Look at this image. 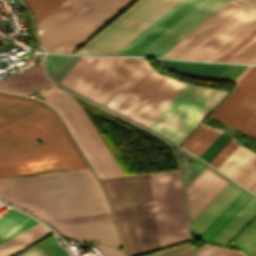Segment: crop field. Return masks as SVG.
<instances>
[{
    "label": "crop field",
    "mask_w": 256,
    "mask_h": 256,
    "mask_svg": "<svg viewBox=\"0 0 256 256\" xmlns=\"http://www.w3.org/2000/svg\"><path fill=\"white\" fill-rule=\"evenodd\" d=\"M252 198L241 190L196 238L211 242Z\"/></svg>",
    "instance_id": "crop-field-18"
},
{
    "label": "crop field",
    "mask_w": 256,
    "mask_h": 256,
    "mask_svg": "<svg viewBox=\"0 0 256 256\" xmlns=\"http://www.w3.org/2000/svg\"><path fill=\"white\" fill-rule=\"evenodd\" d=\"M244 133L254 137L256 135V112L247 120V122L239 129Z\"/></svg>",
    "instance_id": "crop-field-36"
},
{
    "label": "crop field",
    "mask_w": 256,
    "mask_h": 256,
    "mask_svg": "<svg viewBox=\"0 0 256 256\" xmlns=\"http://www.w3.org/2000/svg\"><path fill=\"white\" fill-rule=\"evenodd\" d=\"M231 138L232 137L230 135H228L225 132H222L217 137V139L205 150V152L200 156V158L209 163Z\"/></svg>",
    "instance_id": "crop-field-30"
},
{
    "label": "crop field",
    "mask_w": 256,
    "mask_h": 256,
    "mask_svg": "<svg viewBox=\"0 0 256 256\" xmlns=\"http://www.w3.org/2000/svg\"><path fill=\"white\" fill-rule=\"evenodd\" d=\"M125 59L82 57L59 83L90 98Z\"/></svg>",
    "instance_id": "crop-field-10"
},
{
    "label": "crop field",
    "mask_w": 256,
    "mask_h": 256,
    "mask_svg": "<svg viewBox=\"0 0 256 256\" xmlns=\"http://www.w3.org/2000/svg\"><path fill=\"white\" fill-rule=\"evenodd\" d=\"M256 56V38H254L250 43L243 47L239 52L232 56L226 62H240L247 63L253 57Z\"/></svg>",
    "instance_id": "crop-field-31"
},
{
    "label": "crop field",
    "mask_w": 256,
    "mask_h": 256,
    "mask_svg": "<svg viewBox=\"0 0 256 256\" xmlns=\"http://www.w3.org/2000/svg\"><path fill=\"white\" fill-rule=\"evenodd\" d=\"M255 214L256 199L253 198L211 243L225 246ZM229 247L241 249L247 256H253L256 253V218Z\"/></svg>",
    "instance_id": "crop-field-14"
},
{
    "label": "crop field",
    "mask_w": 256,
    "mask_h": 256,
    "mask_svg": "<svg viewBox=\"0 0 256 256\" xmlns=\"http://www.w3.org/2000/svg\"><path fill=\"white\" fill-rule=\"evenodd\" d=\"M255 179H256V154L238 172V174L233 178V180L248 188Z\"/></svg>",
    "instance_id": "crop-field-28"
},
{
    "label": "crop field",
    "mask_w": 256,
    "mask_h": 256,
    "mask_svg": "<svg viewBox=\"0 0 256 256\" xmlns=\"http://www.w3.org/2000/svg\"><path fill=\"white\" fill-rule=\"evenodd\" d=\"M238 253H240V252L223 248L218 253H216L214 256H236Z\"/></svg>",
    "instance_id": "crop-field-41"
},
{
    "label": "crop field",
    "mask_w": 256,
    "mask_h": 256,
    "mask_svg": "<svg viewBox=\"0 0 256 256\" xmlns=\"http://www.w3.org/2000/svg\"><path fill=\"white\" fill-rule=\"evenodd\" d=\"M2 215H0V217H1Z\"/></svg>",
    "instance_id": "crop-field-52"
},
{
    "label": "crop field",
    "mask_w": 256,
    "mask_h": 256,
    "mask_svg": "<svg viewBox=\"0 0 256 256\" xmlns=\"http://www.w3.org/2000/svg\"><path fill=\"white\" fill-rule=\"evenodd\" d=\"M105 256H124L123 252L108 246H96Z\"/></svg>",
    "instance_id": "crop-field-39"
},
{
    "label": "crop field",
    "mask_w": 256,
    "mask_h": 256,
    "mask_svg": "<svg viewBox=\"0 0 256 256\" xmlns=\"http://www.w3.org/2000/svg\"><path fill=\"white\" fill-rule=\"evenodd\" d=\"M254 256H256V254Z\"/></svg>",
    "instance_id": "crop-field-51"
},
{
    "label": "crop field",
    "mask_w": 256,
    "mask_h": 256,
    "mask_svg": "<svg viewBox=\"0 0 256 256\" xmlns=\"http://www.w3.org/2000/svg\"><path fill=\"white\" fill-rule=\"evenodd\" d=\"M185 85L153 70L116 112L149 126Z\"/></svg>",
    "instance_id": "crop-field-9"
},
{
    "label": "crop field",
    "mask_w": 256,
    "mask_h": 256,
    "mask_svg": "<svg viewBox=\"0 0 256 256\" xmlns=\"http://www.w3.org/2000/svg\"><path fill=\"white\" fill-rule=\"evenodd\" d=\"M159 247L187 241L186 213L178 171L134 176ZM133 176L100 180L115 212L128 256L158 249Z\"/></svg>",
    "instance_id": "crop-field-1"
},
{
    "label": "crop field",
    "mask_w": 256,
    "mask_h": 256,
    "mask_svg": "<svg viewBox=\"0 0 256 256\" xmlns=\"http://www.w3.org/2000/svg\"><path fill=\"white\" fill-rule=\"evenodd\" d=\"M36 223L38 222L15 210L6 214L0 218V243L8 240Z\"/></svg>",
    "instance_id": "crop-field-24"
},
{
    "label": "crop field",
    "mask_w": 256,
    "mask_h": 256,
    "mask_svg": "<svg viewBox=\"0 0 256 256\" xmlns=\"http://www.w3.org/2000/svg\"><path fill=\"white\" fill-rule=\"evenodd\" d=\"M189 0H182L116 54H123Z\"/></svg>",
    "instance_id": "crop-field-29"
},
{
    "label": "crop field",
    "mask_w": 256,
    "mask_h": 256,
    "mask_svg": "<svg viewBox=\"0 0 256 256\" xmlns=\"http://www.w3.org/2000/svg\"><path fill=\"white\" fill-rule=\"evenodd\" d=\"M248 63H251V64H256V57L255 58H253L250 62H248Z\"/></svg>",
    "instance_id": "crop-field-47"
},
{
    "label": "crop field",
    "mask_w": 256,
    "mask_h": 256,
    "mask_svg": "<svg viewBox=\"0 0 256 256\" xmlns=\"http://www.w3.org/2000/svg\"><path fill=\"white\" fill-rule=\"evenodd\" d=\"M255 110L256 66H253L210 117L239 129Z\"/></svg>",
    "instance_id": "crop-field-11"
},
{
    "label": "crop field",
    "mask_w": 256,
    "mask_h": 256,
    "mask_svg": "<svg viewBox=\"0 0 256 256\" xmlns=\"http://www.w3.org/2000/svg\"><path fill=\"white\" fill-rule=\"evenodd\" d=\"M81 0H66L60 6H58L54 11L42 19L38 24H36L38 33H42L46 28L53 24L57 19L64 15L68 10L75 6Z\"/></svg>",
    "instance_id": "crop-field-26"
},
{
    "label": "crop field",
    "mask_w": 256,
    "mask_h": 256,
    "mask_svg": "<svg viewBox=\"0 0 256 256\" xmlns=\"http://www.w3.org/2000/svg\"><path fill=\"white\" fill-rule=\"evenodd\" d=\"M51 85L40 65L0 80V92L26 96Z\"/></svg>",
    "instance_id": "crop-field-17"
},
{
    "label": "crop field",
    "mask_w": 256,
    "mask_h": 256,
    "mask_svg": "<svg viewBox=\"0 0 256 256\" xmlns=\"http://www.w3.org/2000/svg\"><path fill=\"white\" fill-rule=\"evenodd\" d=\"M86 168L50 110L25 99L0 96V178Z\"/></svg>",
    "instance_id": "crop-field-2"
},
{
    "label": "crop field",
    "mask_w": 256,
    "mask_h": 256,
    "mask_svg": "<svg viewBox=\"0 0 256 256\" xmlns=\"http://www.w3.org/2000/svg\"><path fill=\"white\" fill-rule=\"evenodd\" d=\"M152 70L153 69L144 59L124 80V82L109 96L103 105L115 111Z\"/></svg>",
    "instance_id": "crop-field-21"
},
{
    "label": "crop field",
    "mask_w": 256,
    "mask_h": 256,
    "mask_svg": "<svg viewBox=\"0 0 256 256\" xmlns=\"http://www.w3.org/2000/svg\"><path fill=\"white\" fill-rule=\"evenodd\" d=\"M81 57L73 56L65 65L64 67L54 76V78L59 82L64 75L76 64V62Z\"/></svg>",
    "instance_id": "crop-field-37"
},
{
    "label": "crop field",
    "mask_w": 256,
    "mask_h": 256,
    "mask_svg": "<svg viewBox=\"0 0 256 256\" xmlns=\"http://www.w3.org/2000/svg\"><path fill=\"white\" fill-rule=\"evenodd\" d=\"M237 147H238V145L235 144V142L232 138L227 143V145L209 163V165H211L217 169Z\"/></svg>",
    "instance_id": "crop-field-32"
},
{
    "label": "crop field",
    "mask_w": 256,
    "mask_h": 256,
    "mask_svg": "<svg viewBox=\"0 0 256 256\" xmlns=\"http://www.w3.org/2000/svg\"><path fill=\"white\" fill-rule=\"evenodd\" d=\"M19 256H46L44 252L41 250L39 245L33 246L32 249L26 251L25 253L19 255Z\"/></svg>",
    "instance_id": "crop-field-40"
},
{
    "label": "crop field",
    "mask_w": 256,
    "mask_h": 256,
    "mask_svg": "<svg viewBox=\"0 0 256 256\" xmlns=\"http://www.w3.org/2000/svg\"><path fill=\"white\" fill-rule=\"evenodd\" d=\"M26 1L32 9L34 18H35V23H37L65 0H26Z\"/></svg>",
    "instance_id": "crop-field-27"
},
{
    "label": "crop field",
    "mask_w": 256,
    "mask_h": 256,
    "mask_svg": "<svg viewBox=\"0 0 256 256\" xmlns=\"http://www.w3.org/2000/svg\"><path fill=\"white\" fill-rule=\"evenodd\" d=\"M241 7L230 1L163 56L181 58Z\"/></svg>",
    "instance_id": "crop-field-16"
},
{
    "label": "crop field",
    "mask_w": 256,
    "mask_h": 256,
    "mask_svg": "<svg viewBox=\"0 0 256 256\" xmlns=\"http://www.w3.org/2000/svg\"><path fill=\"white\" fill-rule=\"evenodd\" d=\"M46 102L60 113L99 178L123 176L82 107L72 97L53 89Z\"/></svg>",
    "instance_id": "crop-field-8"
},
{
    "label": "crop field",
    "mask_w": 256,
    "mask_h": 256,
    "mask_svg": "<svg viewBox=\"0 0 256 256\" xmlns=\"http://www.w3.org/2000/svg\"><path fill=\"white\" fill-rule=\"evenodd\" d=\"M255 28H256V23L252 25L250 28H248L245 32H243L240 36H238L235 40H233L229 45H227L224 49H222L218 54H216L209 61H216L217 59H219L223 54H225L228 50H230L234 45H236L239 41H241L245 36H247Z\"/></svg>",
    "instance_id": "crop-field-35"
},
{
    "label": "crop field",
    "mask_w": 256,
    "mask_h": 256,
    "mask_svg": "<svg viewBox=\"0 0 256 256\" xmlns=\"http://www.w3.org/2000/svg\"><path fill=\"white\" fill-rule=\"evenodd\" d=\"M254 37H256V30H254L250 35H248L245 39H243L240 43H238L235 47H233L230 51H228L224 56H222L217 61L225 62L237 51H239L243 46L250 42Z\"/></svg>",
    "instance_id": "crop-field-34"
},
{
    "label": "crop field",
    "mask_w": 256,
    "mask_h": 256,
    "mask_svg": "<svg viewBox=\"0 0 256 256\" xmlns=\"http://www.w3.org/2000/svg\"><path fill=\"white\" fill-rule=\"evenodd\" d=\"M228 93L187 84L148 128L180 145Z\"/></svg>",
    "instance_id": "crop-field-5"
},
{
    "label": "crop field",
    "mask_w": 256,
    "mask_h": 256,
    "mask_svg": "<svg viewBox=\"0 0 256 256\" xmlns=\"http://www.w3.org/2000/svg\"><path fill=\"white\" fill-rule=\"evenodd\" d=\"M142 60V58H127L109 77V79L96 91L91 99L102 104Z\"/></svg>",
    "instance_id": "crop-field-23"
},
{
    "label": "crop field",
    "mask_w": 256,
    "mask_h": 256,
    "mask_svg": "<svg viewBox=\"0 0 256 256\" xmlns=\"http://www.w3.org/2000/svg\"><path fill=\"white\" fill-rule=\"evenodd\" d=\"M172 256H190V250L186 251V252H182V253L176 254V255H172Z\"/></svg>",
    "instance_id": "crop-field-45"
},
{
    "label": "crop field",
    "mask_w": 256,
    "mask_h": 256,
    "mask_svg": "<svg viewBox=\"0 0 256 256\" xmlns=\"http://www.w3.org/2000/svg\"><path fill=\"white\" fill-rule=\"evenodd\" d=\"M255 188H256V180L253 182V184L248 189L253 191Z\"/></svg>",
    "instance_id": "crop-field-46"
},
{
    "label": "crop field",
    "mask_w": 256,
    "mask_h": 256,
    "mask_svg": "<svg viewBox=\"0 0 256 256\" xmlns=\"http://www.w3.org/2000/svg\"><path fill=\"white\" fill-rule=\"evenodd\" d=\"M134 0H82L39 35L46 51L70 53Z\"/></svg>",
    "instance_id": "crop-field-4"
},
{
    "label": "crop field",
    "mask_w": 256,
    "mask_h": 256,
    "mask_svg": "<svg viewBox=\"0 0 256 256\" xmlns=\"http://www.w3.org/2000/svg\"><path fill=\"white\" fill-rule=\"evenodd\" d=\"M253 192H255V193H256V189H255Z\"/></svg>",
    "instance_id": "crop-field-50"
},
{
    "label": "crop field",
    "mask_w": 256,
    "mask_h": 256,
    "mask_svg": "<svg viewBox=\"0 0 256 256\" xmlns=\"http://www.w3.org/2000/svg\"><path fill=\"white\" fill-rule=\"evenodd\" d=\"M190 245H185V246H181V247H178V248H175V249H171V250H168V251H165V252H162V253H158V254H155V255H152V256H161V255H164V254H168V253H171V252H175V251H178V250H182V249H185V248H189Z\"/></svg>",
    "instance_id": "crop-field-42"
},
{
    "label": "crop field",
    "mask_w": 256,
    "mask_h": 256,
    "mask_svg": "<svg viewBox=\"0 0 256 256\" xmlns=\"http://www.w3.org/2000/svg\"><path fill=\"white\" fill-rule=\"evenodd\" d=\"M5 205L0 202V208L4 207Z\"/></svg>",
    "instance_id": "crop-field-48"
},
{
    "label": "crop field",
    "mask_w": 256,
    "mask_h": 256,
    "mask_svg": "<svg viewBox=\"0 0 256 256\" xmlns=\"http://www.w3.org/2000/svg\"><path fill=\"white\" fill-rule=\"evenodd\" d=\"M252 66H248L234 81L233 83L237 84L240 79L249 71V69L251 68Z\"/></svg>",
    "instance_id": "crop-field-43"
},
{
    "label": "crop field",
    "mask_w": 256,
    "mask_h": 256,
    "mask_svg": "<svg viewBox=\"0 0 256 256\" xmlns=\"http://www.w3.org/2000/svg\"><path fill=\"white\" fill-rule=\"evenodd\" d=\"M235 1H238V2H241V3H245V4H249L253 7L256 6V0H235Z\"/></svg>",
    "instance_id": "crop-field-44"
},
{
    "label": "crop field",
    "mask_w": 256,
    "mask_h": 256,
    "mask_svg": "<svg viewBox=\"0 0 256 256\" xmlns=\"http://www.w3.org/2000/svg\"><path fill=\"white\" fill-rule=\"evenodd\" d=\"M237 256H244V255L240 253V254H238Z\"/></svg>",
    "instance_id": "crop-field-49"
},
{
    "label": "crop field",
    "mask_w": 256,
    "mask_h": 256,
    "mask_svg": "<svg viewBox=\"0 0 256 256\" xmlns=\"http://www.w3.org/2000/svg\"><path fill=\"white\" fill-rule=\"evenodd\" d=\"M220 133L221 131L215 128L201 124L181 147L199 157Z\"/></svg>",
    "instance_id": "crop-field-25"
},
{
    "label": "crop field",
    "mask_w": 256,
    "mask_h": 256,
    "mask_svg": "<svg viewBox=\"0 0 256 256\" xmlns=\"http://www.w3.org/2000/svg\"><path fill=\"white\" fill-rule=\"evenodd\" d=\"M51 234L39 223L0 244V256H11Z\"/></svg>",
    "instance_id": "crop-field-22"
},
{
    "label": "crop field",
    "mask_w": 256,
    "mask_h": 256,
    "mask_svg": "<svg viewBox=\"0 0 256 256\" xmlns=\"http://www.w3.org/2000/svg\"><path fill=\"white\" fill-rule=\"evenodd\" d=\"M220 249L222 248L206 245L203 248H201L199 251H197L195 256H212L216 252H218Z\"/></svg>",
    "instance_id": "crop-field-38"
},
{
    "label": "crop field",
    "mask_w": 256,
    "mask_h": 256,
    "mask_svg": "<svg viewBox=\"0 0 256 256\" xmlns=\"http://www.w3.org/2000/svg\"><path fill=\"white\" fill-rule=\"evenodd\" d=\"M254 21H256V9L244 6L182 58L197 60L210 58Z\"/></svg>",
    "instance_id": "crop-field-13"
},
{
    "label": "crop field",
    "mask_w": 256,
    "mask_h": 256,
    "mask_svg": "<svg viewBox=\"0 0 256 256\" xmlns=\"http://www.w3.org/2000/svg\"><path fill=\"white\" fill-rule=\"evenodd\" d=\"M180 0H140L75 53L115 54Z\"/></svg>",
    "instance_id": "crop-field-6"
},
{
    "label": "crop field",
    "mask_w": 256,
    "mask_h": 256,
    "mask_svg": "<svg viewBox=\"0 0 256 256\" xmlns=\"http://www.w3.org/2000/svg\"><path fill=\"white\" fill-rule=\"evenodd\" d=\"M72 56L50 55L47 59V66L51 75H55Z\"/></svg>",
    "instance_id": "crop-field-33"
},
{
    "label": "crop field",
    "mask_w": 256,
    "mask_h": 256,
    "mask_svg": "<svg viewBox=\"0 0 256 256\" xmlns=\"http://www.w3.org/2000/svg\"><path fill=\"white\" fill-rule=\"evenodd\" d=\"M229 0H190L124 54L162 56Z\"/></svg>",
    "instance_id": "crop-field-7"
},
{
    "label": "crop field",
    "mask_w": 256,
    "mask_h": 256,
    "mask_svg": "<svg viewBox=\"0 0 256 256\" xmlns=\"http://www.w3.org/2000/svg\"><path fill=\"white\" fill-rule=\"evenodd\" d=\"M241 189L228 184L211 203L191 222L195 237L229 203ZM235 198V197H234ZM233 198V199H234ZM232 199V200H233ZM231 200V201H232Z\"/></svg>",
    "instance_id": "crop-field-20"
},
{
    "label": "crop field",
    "mask_w": 256,
    "mask_h": 256,
    "mask_svg": "<svg viewBox=\"0 0 256 256\" xmlns=\"http://www.w3.org/2000/svg\"><path fill=\"white\" fill-rule=\"evenodd\" d=\"M56 231L66 238L83 244L87 241L101 242L120 247V242L110 214L50 221Z\"/></svg>",
    "instance_id": "crop-field-12"
},
{
    "label": "crop field",
    "mask_w": 256,
    "mask_h": 256,
    "mask_svg": "<svg viewBox=\"0 0 256 256\" xmlns=\"http://www.w3.org/2000/svg\"><path fill=\"white\" fill-rule=\"evenodd\" d=\"M229 182L205 169L186 188L192 221Z\"/></svg>",
    "instance_id": "crop-field-15"
},
{
    "label": "crop field",
    "mask_w": 256,
    "mask_h": 256,
    "mask_svg": "<svg viewBox=\"0 0 256 256\" xmlns=\"http://www.w3.org/2000/svg\"><path fill=\"white\" fill-rule=\"evenodd\" d=\"M0 196L45 221L110 213L90 169L0 180Z\"/></svg>",
    "instance_id": "crop-field-3"
},
{
    "label": "crop field",
    "mask_w": 256,
    "mask_h": 256,
    "mask_svg": "<svg viewBox=\"0 0 256 256\" xmlns=\"http://www.w3.org/2000/svg\"><path fill=\"white\" fill-rule=\"evenodd\" d=\"M157 61L162 67L177 73L212 79H217L229 66L225 64L179 62L163 59H157Z\"/></svg>",
    "instance_id": "crop-field-19"
}]
</instances>
